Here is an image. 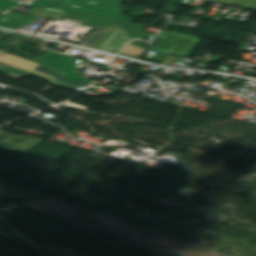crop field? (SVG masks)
I'll list each match as a JSON object with an SVG mask.
<instances>
[{
    "instance_id": "obj_1",
    "label": "crop field",
    "mask_w": 256,
    "mask_h": 256,
    "mask_svg": "<svg viewBox=\"0 0 256 256\" xmlns=\"http://www.w3.org/2000/svg\"><path fill=\"white\" fill-rule=\"evenodd\" d=\"M0 72L19 80L29 74L50 80L63 88H76L80 85L87 87L89 83L61 76L63 72L29 62L8 53L0 51Z\"/></svg>"
},
{
    "instance_id": "obj_2",
    "label": "crop field",
    "mask_w": 256,
    "mask_h": 256,
    "mask_svg": "<svg viewBox=\"0 0 256 256\" xmlns=\"http://www.w3.org/2000/svg\"><path fill=\"white\" fill-rule=\"evenodd\" d=\"M124 0H34L25 6L126 20L119 6Z\"/></svg>"
},
{
    "instance_id": "obj_3",
    "label": "crop field",
    "mask_w": 256,
    "mask_h": 256,
    "mask_svg": "<svg viewBox=\"0 0 256 256\" xmlns=\"http://www.w3.org/2000/svg\"><path fill=\"white\" fill-rule=\"evenodd\" d=\"M156 39L158 42L153 47L146 46L141 41H132L129 44L187 57L201 41L195 36L167 32L163 30Z\"/></svg>"
},
{
    "instance_id": "obj_4",
    "label": "crop field",
    "mask_w": 256,
    "mask_h": 256,
    "mask_svg": "<svg viewBox=\"0 0 256 256\" xmlns=\"http://www.w3.org/2000/svg\"><path fill=\"white\" fill-rule=\"evenodd\" d=\"M65 16L86 20L83 23L84 25L128 32L127 35L124 37L126 39L144 38L152 35V34L138 32L142 26L130 23L129 21L85 16V15H78V14H70V13H66Z\"/></svg>"
},
{
    "instance_id": "obj_5",
    "label": "crop field",
    "mask_w": 256,
    "mask_h": 256,
    "mask_svg": "<svg viewBox=\"0 0 256 256\" xmlns=\"http://www.w3.org/2000/svg\"><path fill=\"white\" fill-rule=\"evenodd\" d=\"M79 62L80 60H77L75 58L49 51L46 55H44L41 59H39L35 63H39L42 65L63 71L65 72L63 74L64 76H68V77L75 78V79L82 80L89 83L93 82V80L86 79L81 75L73 72L78 68V66L76 65Z\"/></svg>"
},
{
    "instance_id": "obj_6",
    "label": "crop field",
    "mask_w": 256,
    "mask_h": 256,
    "mask_svg": "<svg viewBox=\"0 0 256 256\" xmlns=\"http://www.w3.org/2000/svg\"><path fill=\"white\" fill-rule=\"evenodd\" d=\"M44 140L31 135H17L0 130V150L2 151L11 152L15 150L25 153Z\"/></svg>"
},
{
    "instance_id": "obj_7",
    "label": "crop field",
    "mask_w": 256,
    "mask_h": 256,
    "mask_svg": "<svg viewBox=\"0 0 256 256\" xmlns=\"http://www.w3.org/2000/svg\"><path fill=\"white\" fill-rule=\"evenodd\" d=\"M125 35L124 32L109 30L94 48L103 50L107 47L109 48L107 52L113 53L118 47L122 48L129 41L122 39Z\"/></svg>"
},
{
    "instance_id": "obj_8",
    "label": "crop field",
    "mask_w": 256,
    "mask_h": 256,
    "mask_svg": "<svg viewBox=\"0 0 256 256\" xmlns=\"http://www.w3.org/2000/svg\"><path fill=\"white\" fill-rule=\"evenodd\" d=\"M33 18H35V16L20 15V14L8 12L4 14L2 18H0V26L12 28L14 26H20L30 21Z\"/></svg>"
},
{
    "instance_id": "obj_9",
    "label": "crop field",
    "mask_w": 256,
    "mask_h": 256,
    "mask_svg": "<svg viewBox=\"0 0 256 256\" xmlns=\"http://www.w3.org/2000/svg\"><path fill=\"white\" fill-rule=\"evenodd\" d=\"M108 30L96 28L91 32L79 45L87 46L93 48L96 43L105 35Z\"/></svg>"
},
{
    "instance_id": "obj_10",
    "label": "crop field",
    "mask_w": 256,
    "mask_h": 256,
    "mask_svg": "<svg viewBox=\"0 0 256 256\" xmlns=\"http://www.w3.org/2000/svg\"><path fill=\"white\" fill-rule=\"evenodd\" d=\"M28 14L40 16V17H43V18L61 20L65 13L33 8Z\"/></svg>"
},
{
    "instance_id": "obj_11",
    "label": "crop field",
    "mask_w": 256,
    "mask_h": 256,
    "mask_svg": "<svg viewBox=\"0 0 256 256\" xmlns=\"http://www.w3.org/2000/svg\"><path fill=\"white\" fill-rule=\"evenodd\" d=\"M214 1H219L231 5H236L252 10H256V0H214Z\"/></svg>"
},
{
    "instance_id": "obj_12",
    "label": "crop field",
    "mask_w": 256,
    "mask_h": 256,
    "mask_svg": "<svg viewBox=\"0 0 256 256\" xmlns=\"http://www.w3.org/2000/svg\"><path fill=\"white\" fill-rule=\"evenodd\" d=\"M1 12H3V11H1Z\"/></svg>"
}]
</instances>
